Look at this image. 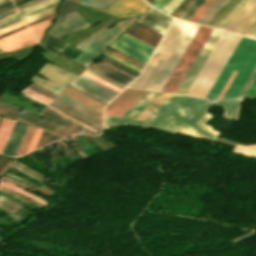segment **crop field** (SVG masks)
<instances>
[{
	"label": "crop field",
	"instance_id": "obj_54",
	"mask_svg": "<svg viewBox=\"0 0 256 256\" xmlns=\"http://www.w3.org/2000/svg\"><path fill=\"white\" fill-rule=\"evenodd\" d=\"M19 164V163H18ZM20 165H22V164H20ZM22 166H24V165H22ZM24 167H26V166H24ZM27 168V167H26ZM27 169H29V168H27ZM30 170V169H29ZM32 171V170H31ZM34 172V171H33ZM36 173V172H35ZM38 174V173H37ZM40 175V174H39ZM42 176V175H41ZM44 177V176H43Z\"/></svg>",
	"mask_w": 256,
	"mask_h": 256
},
{
	"label": "crop field",
	"instance_id": "obj_7",
	"mask_svg": "<svg viewBox=\"0 0 256 256\" xmlns=\"http://www.w3.org/2000/svg\"><path fill=\"white\" fill-rule=\"evenodd\" d=\"M139 17L118 20L116 24L101 35L91 46H89L75 61L87 66L99 53L114 39L121 35Z\"/></svg>",
	"mask_w": 256,
	"mask_h": 256
},
{
	"label": "crop field",
	"instance_id": "obj_25",
	"mask_svg": "<svg viewBox=\"0 0 256 256\" xmlns=\"http://www.w3.org/2000/svg\"><path fill=\"white\" fill-rule=\"evenodd\" d=\"M168 1L169 0H154L150 5L161 10ZM182 1L183 0H170L161 11L170 15Z\"/></svg>",
	"mask_w": 256,
	"mask_h": 256
},
{
	"label": "crop field",
	"instance_id": "obj_52",
	"mask_svg": "<svg viewBox=\"0 0 256 256\" xmlns=\"http://www.w3.org/2000/svg\"><path fill=\"white\" fill-rule=\"evenodd\" d=\"M7 1H9V0H0V4L5 3Z\"/></svg>",
	"mask_w": 256,
	"mask_h": 256
},
{
	"label": "crop field",
	"instance_id": "obj_57",
	"mask_svg": "<svg viewBox=\"0 0 256 256\" xmlns=\"http://www.w3.org/2000/svg\"><path fill=\"white\" fill-rule=\"evenodd\" d=\"M73 1H77V2H79V1H81V0H73Z\"/></svg>",
	"mask_w": 256,
	"mask_h": 256
},
{
	"label": "crop field",
	"instance_id": "obj_37",
	"mask_svg": "<svg viewBox=\"0 0 256 256\" xmlns=\"http://www.w3.org/2000/svg\"><path fill=\"white\" fill-rule=\"evenodd\" d=\"M248 0H242L237 7L223 20V22L217 27L222 29L228 21L241 9V7L247 2Z\"/></svg>",
	"mask_w": 256,
	"mask_h": 256
},
{
	"label": "crop field",
	"instance_id": "obj_13",
	"mask_svg": "<svg viewBox=\"0 0 256 256\" xmlns=\"http://www.w3.org/2000/svg\"><path fill=\"white\" fill-rule=\"evenodd\" d=\"M150 7L144 0H115L101 11L117 17L142 15Z\"/></svg>",
	"mask_w": 256,
	"mask_h": 256
},
{
	"label": "crop field",
	"instance_id": "obj_16",
	"mask_svg": "<svg viewBox=\"0 0 256 256\" xmlns=\"http://www.w3.org/2000/svg\"><path fill=\"white\" fill-rule=\"evenodd\" d=\"M71 85L102 100L106 104L118 94L82 75L75 79Z\"/></svg>",
	"mask_w": 256,
	"mask_h": 256
},
{
	"label": "crop field",
	"instance_id": "obj_60",
	"mask_svg": "<svg viewBox=\"0 0 256 256\" xmlns=\"http://www.w3.org/2000/svg\"><path fill=\"white\" fill-rule=\"evenodd\" d=\"M3 191V190H2ZM11 194V193H10ZM13 195V194H12ZM27 203V202H26ZM29 204V203H28Z\"/></svg>",
	"mask_w": 256,
	"mask_h": 256
},
{
	"label": "crop field",
	"instance_id": "obj_43",
	"mask_svg": "<svg viewBox=\"0 0 256 256\" xmlns=\"http://www.w3.org/2000/svg\"><path fill=\"white\" fill-rule=\"evenodd\" d=\"M41 129H37V131H36V133H35V135H34V137H33V139H32V142H31V144H30V146H29V148H28V150H27V152H30V151H33V149H34V147H35V145H36V142H37V140H38V138H39V135H40V133H41ZM26 152V153H27Z\"/></svg>",
	"mask_w": 256,
	"mask_h": 256
},
{
	"label": "crop field",
	"instance_id": "obj_50",
	"mask_svg": "<svg viewBox=\"0 0 256 256\" xmlns=\"http://www.w3.org/2000/svg\"><path fill=\"white\" fill-rule=\"evenodd\" d=\"M12 8H14V5H13V4H11V5L7 6V7H4V8H2V9H0V13H2V12H4V11H7V10H9V9H12Z\"/></svg>",
	"mask_w": 256,
	"mask_h": 256
},
{
	"label": "crop field",
	"instance_id": "obj_44",
	"mask_svg": "<svg viewBox=\"0 0 256 256\" xmlns=\"http://www.w3.org/2000/svg\"><path fill=\"white\" fill-rule=\"evenodd\" d=\"M42 1H44V0H32V1H29V2H27V3H25V4H22V5L18 6V9H19V11H21V10H23V9H25V8H28V7H30V6H33V5H35V4H37V3H40V2H42ZM16 8H17V7H16Z\"/></svg>",
	"mask_w": 256,
	"mask_h": 256
},
{
	"label": "crop field",
	"instance_id": "obj_20",
	"mask_svg": "<svg viewBox=\"0 0 256 256\" xmlns=\"http://www.w3.org/2000/svg\"><path fill=\"white\" fill-rule=\"evenodd\" d=\"M95 71L127 86L135 77L107 64L103 63Z\"/></svg>",
	"mask_w": 256,
	"mask_h": 256
},
{
	"label": "crop field",
	"instance_id": "obj_29",
	"mask_svg": "<svg viewBox=\"0 0 256 256\" xmlns=\"http://www.w3.org/2000/svg\"><path fill=\"white\" fill-rule=\"evenodd\" d=\"M44 45L59 51L60 53L63 51V49L68 46V44L50 36L47 34L46 38L44 39L43 43Z\"/></svg>",
	"mask_w": 256,
	"mask_h": 256
},
{
	"label": "crop field",
	"instance_id": "obj_8",
	"mask_svg": "<svg viewBox=\"0 0 256 256\" xmlns=\"http://www.w3.org/2000/svg\"><path fill=\"white\" fill-rule=\"evenodd\" d=\"M38 73L48 79L55 81L56 83L42 80L35 75L32 78V82L44 88H47L57 94H59L63 90V88L76 77V75L48 63H45L38 71Z\"/></svg>",
	"mask_w": 256,
	"mask_h": 256
},
{
	"label": "crop field",
	"instance_id": "obj_61",
	"mask_svg": "<svg viewBox=\"0 0 256 256\" xmlns=\"http://www.w3.org/2000/svg\"><path fill=\"white\" fill-rule=\"evenodd\" d=\"M147 2L149 1V0H146Z\"/></svg>",
	"mask_w": 256,
	"mask_h": 256
},
{
	"label": "crop field",
	"instance_id": "obj_24",
	"mask_svg": "<svg viewBox=\"0 0 256 256\" xmlns=\"http://www.w3.org/2000/svg\"><path fill=\"white\" fill-rule=\"evenodd\" d=\"M171 96H172L171 94L162 93L158 98H156L148 107H146L134 119L144 121L148 116H150L158 107H160Z\"/></svg>",
	"mask_w": 256,
	"mask_h": 256
},
{
	"label": "crop field",
	"instance_id": "obj_39",
	"mask_svg": "<svg viewBox=\"0 0 256 256\" xmlns=\"http://www.w3.org/2000/svg\"><path fill=\"white\" fill-rule=\"evenodd\" d=\"M193 2V0H184L176 10L171 14V16L178 18L182 12Z\"/></svg>",
	"mask_w": 256,
	"mask_h": 256
},
{
	"label": "crop field",
	"instance_id": "obj_6",
	"mask_svg": "<svg viewBox=\"0 0 256 256\" xmlns=\"http://www.w3.org/2000/svg\"><path fill=\"white\" fill-rule=\"evenodd\" d=\"M211 28L200 26L183 56L169 76L161 91L175 93L180 82L188 71L190 65L200 51L207 37L211 33Z\"/></svg>",
	"mask_w": 256,
	"mask_h": 256
},
{
	"label": "crop field",
	"instance_id": "obj_12",
	"mask_svg": "<svg viewBox=\"0 0 256 256\" xmlns=\"http://www.w3.org/2000/svg\"><path fill=\"white\" fill-rule=\"evenodd\" d=\"M77 11L58 18L49 34L61 39L77 30L88 27Z\"/></svg>",
	"mask_w": 256,
	"mask_h": 256
},
{
	"label": "crop field",
	"instance_id": "obj_2",
	"mask_svg": "<svg viewBox=\"0 0 256 256\" xmlns=\"http://www.w3.org/2000/svg\"><path fill=\"white\" fill-rule=\"evenodd\" d=\"M256 64V40L242 37L231 58L208 93V98L216 99L233 70L238 71L222 100L236 98L245 80Z\"/></svg>",
	"mask_w": 256,
	"mask_h": 256
},
{
	"label": "crop field",
	"instance_id": "obj_48",
	"mask_svg": "<svg viewBox=\"0 0 256 256\" xmlns=\"http://www.w3.org/2000/svg\"><path fill=\"white\" fill-rule=\"evenodd\" d=\"M15 13H17L16 8L0 14V19L5 18V17L10 16V15L15 14Z\"/></svg>",
	"mask_w": 256,
	"mask_h": 256
},
{
	"label": "crop field",
	"instance_id": "obj_23",
	"mask_svg": "<svg viewBox=\"0 0 256 256\" xmlns=\"http://www.w3.org/2000/svg\"><path fill=\"white\" fill-rule=\"evenodd\" d=\"M240 1L241 0H228L226 4L206 24V26L216 28Z\"/></svg>",
	"mask_w": 256,
	"mask_h": 256
},
{
	"label": "crop field",
	"instance_id": "obj_55",
	"mask_svg": "<svg viewBox=\"0 0 256 256\" xmlns=\"http://www.w3.org/2000/svg\"><path fill=\"white\" fill-rule=\"evenodd\" d=\"M2 178H3V177H2ZM4 179H5V178H4ZM7 180H8V179H7ZM10 181H11V180H10ZM12 182H13V181H12ZM16 182H17V181H16ZM16 182H15V183H16ZM19 183H20V182H19ZM19 183H18V184H19ZM21 184H23V183H21ZM21 184H20V185H21ZM24 185H25V184H24ZM24 185H23V186H24Z\"/></svg>",
	"mask_w": 256,
	"mask_h": 256
},
{
	"label": "crop field",
	"instance_id": "obj_58",
	"mask_svg": "<svg viewBox=\"0 0 256 256\" xmlns=\"http://www.w3.org/2000/svg\"><path fill=\"white\" fill-rule=\"evenodd\" d=\"M6 200V199H5ZM8 201V200H7ZM10 202V201H9ZM12 203V202H11ZM14 204V203H13ZM16 205V204H15ZM18 206V205H17ZM20 207V206H19Z\"/></svg>",
	"mask_w": 256,
	"mask_h": 256
},
{
	"label": "crop field",
	"instance_id": "obj_27",
	"mask_svg": "<svg viewBox=\"0 0 256 256\" xmlns=\"http://www.w3.org/2000/svg\"><path fill=\"white\" fill-rule=\"evenodd\" d=\"M36 129H37L36 127L30 126V125L28 126L26 133L22 139V142L15 156H20L22 154H25Z\"/></svg>",
	"mask_w": 256,
	"mask_h": 256
},
{
	"label": "crop field",
	"instance_id": "obj_33",
	"mask_svg": "<svg viewBox=\"0 0 256 256\" xmlns=\"http://www.w3.org/2000/svg\"><path fill=\"white\" fill-rule=\"evenodd\" d=\"M83 7H86V6H83V5L77 4L75 2L66 0V2L63 4L62 8L60 9V12H61L60 16L65 15V14L70 13V12H73L75 10L81 9Z\"/></svg>",
	"mask_w": 256,
	"mask_h": 256
},
{
	"label": "crop field",
	"instance_id": "obj_26",
	"mask_svg": "<svg viewBox=\"0 0 256 256\" xmlns=\"http://www.w3.org/2000/svg\"><path fill=\"white\" fill-rule=\"evenodd\" d=\"M57 1H58V0H47V1H44V2H42V3H40V4L35 5V6H33V7H30V8H28V9H25V10L21 11L20 13H21L22 16H24V15H26V14H28V13H31V12H33V11H36V10H38V9H40V8H43V7H45V6H48V5H50V4H52V3H55V2H57ZM57 3H58V2H57ZM57 3H55V4H53V5H50V6H48V7H45V8H43V9H41V10L36 11V12H33V13L29 14V15H26V16H24V19H26V18H28V17H30V16H33V15H35V14H37V13H40V12H42V11H45V10H47V9H49V8H52V7L56 6Z\"/></svg>",
	"mask_w": 256,
	"mask_h": 256
},
{
	"label": "crop field",
	"instance_id": "obj_36",
	"mask_svg": "<svg viewBox=\"0 0 256 256\" xmlns=\"http://www.w3.org/2000/svg\"><path fill=\"white\" fill-rule=\"evenodd\" d=\"M18 17H20V14H19V13L15 14V15H12V16H10V17H7V18H5V19H2V20H0V25L6 23V22H8V21H11V20H13V19H16V18H18ZM22 20H23V19L20 17V18H18V19H16V20H13V21L8 22V23H6V24H4V25H1V26H0V30L3 29V28L8 27V26H10V25H13V24H15V23H17V22H20V21H22Z\"/></svg>",
	"mask_w": 256,
	"mask_h": 256
},
{
	"label": "crop field",
	"instance_id": "obj_42",
	"mask_svg": "<svg viewBox=\"0 0 256 256\" xmlns=\"http://www.w3.org/2000/svg\"><path fill=\"white\" fill-rule=\"evenodd\" d=\"M243 36L251 37L256 39V21L247 29Z\"/></svg>",
	"mask_w": 256,
	"mask_h": 256
},
{
	"label": "crop field",
	"instance_id": "obj_9",
	"mask_svg": "<svg viewBox=\"0 0 256 256\" xmlns=\"http://www.w3.org/2000/svg\"><path fill=\"white\" fill-rule=\"evenodd\" d=\"M110 47L146 64L154 47L124 33Z\"/></svg>",
	"mask_w": 256,
	"mask_h": 256
},
{
	"label": "crop field",
	"instance_id": "obj_15",
	"mask_svg": "<svg viewBox=\"0 0 256 256\" xmlns=\"http://www.w3.org/2000/svg\"><path fill=\"white\" fill-rule=\"evenodd\" d=\"M167 56V53L154 51L142 75L128 87L148 89Z\"/></svg>",
	"mask_w": 256,
	"mask_h": 256
},
{
	"label": "crop field",
	"instance_id": "obj_59",
	"mask_svg": "<svg viewBox=\"0 0 256 256\" xmlns=\"http://www.w3.org/2000/svg\"><path fill=\"white\" fill-rule=\"evenodd\" d=\"M4 202V201H3ZM6 203V202H5ZM8 204V203H7ZM10 205V204H9ZM12 206V205H11ZM14 207V206H13Z\"/></svg>",
	"mask_w": 256,
	"mask_h": 256
},
{
	"label": "crop field",
	"instance_id": "obj_18",
	"mask_svg": "<svg viewBox=\"0 0 256 256\" xmlns=\"http://www.w3.org/2000/svg\"><path fill=\"white\" fill-rule=\"evenodd\" d=\"M171 19H172L171 17L152 8L149 12H147L137 22H139V23L161 33V34H164Z\"/></svg>",
	"mask_w": 256,
	"mask_h": 256
},
{
	"label": "crop field",
	"instance_id": "obj_22",
	"mask_svg": "<svg viewBox=\"0 0 256 256\" xmlns=\"http://www.w3.org/2000/svg\"><path fill=\"white\" fill-rule=\"evenodd\" d=\"M160 94L161 93L159 92L149 91L145 96H143L135 105H133L121 117L133 119L137 114H139L147 105H149Z\"/></svg>",
	"mask_w": 256,
	"mask_h": 256
},
{
	"label": "crop field",
	"instance_id": "obj_14",
	"mask_svg": "<svg viewBox=\"0 0 256 256\" xmlns=\"http://www.w3.org/2000/svg\"><path fill=\"white\" fill-rule=\"evenodd\" d=\"M256 19V0H249L243 8L229 21L223 30L242 35Z\"/></svg>",
	"mask_w": 256,
	"mask_h": 256
},
{
	"label": "crop field",
	"instance_id": "obj_5",
	"mask_svg": "<svg viewBox=\"0 0 256 256\" xmlns=\"http://www.w3.org/2000/svg\"><path fill=\"white\" fill-rule=\"evenodd\" d=\"M0 115L15 117L17 119L27 121L45 130L62 135L64 137L76 135L79 133H88L86 131L82 132V129L64 121L63 119L45 110L40 114V116L47 118L49 120H52V122H48L40 117H37L27 112L23 113L22 110L12 105L1 103V102H0Z\"/></svg>",
	"mask_w": 256,
	"mask_h": 256
},
{
	"label": "crop field",
	"instance_id": "obj_32",
	"mask_svg": "<svg viewBox=\"0 0 256 256\" xmlns=\"http://www.w3.org/2000/svg\"><path fill=\"white\" fill-rule=\"evenodd\" d=\"M58 139H61V137L56 136L54 134H51V133L46 132V131L43 130L41 135H40V138L37 142V145H36L35 149L39 148V147H42V146H44V145H46V144H48L52 141L58 140Z\"/></svg>",
	"mask_w": 256,
	"mask_h": 256
},
{
	"label": "crop field",
	"instance_id": "obj_46",
	"mask_svg": "<svg viewBox=\"0 0 256 256\" xmlns=\"http://www.w3.org/2000/svg\"><path fill=\"white\" fill-rule=\"evenodd\" d=\"M249 96H256V79L253 82L252 86L250 87L245 97H249Z\"/></svg>",
	"mask_w": 256,
	"mask_h": 256
},
{
	"label": "crop field",
	"instance_id": "obj_30",
	"mask_svg": "<svg viewBox=\"0 0 256 256\" xmlns=\"http://www.w3.org/2000/svg\"><path fill=\"white\" fill-rule=\"evenodd\" d=\"M206 0H194V2L183 12L179 19L188 21L190 17L202 6Z\"/></svg>",
	"mask_w": 256,
	"mask_h": 256
},
{
	"label": "crop field",
	"instance_id": "obj_10",
	"mask_svg": "<svg viewBox=\"0 0 256 256\" xmlns=\"http://www.w3.org/2000/svg\"><path fill=\"white\" fill-rule=\"evenodd\" d=\"M221 34L222 31L213 29L212 33L210 34L200 53L198 54L197 58L192 64L191 68L189 69L188 73L186 74L185 78L183 79L182 83L177 89V94L185 95L186 91L193 82L194 78L196 77L197 73L199 72L200 68L207 59L208 55L210 54L211 50L213 49Z\"/></svg>",
	"mask_w": 256,
	"mask_h": 256
},
{
	"label": "crop field",
	"instance_id": "obj_41",
	"mask_svg": "<svg viewBox=\"0 0 256 256\" xmlns=\"http://www.w3.org/2000/svg\"><path fill=\"white\" fill-rule=\"evenodd\" d=\"M106 51H108V50H106ZM108 52H110V53H112V54H114V55H116V56H118V57H120V58H122V59H124V60H126V61H128V62H130V63H132V64H134L136 66H138V67H140V68H142V69L144 67V64H142L140 62H137V61H135V60H133V59L123 55V54L112 52V51H108Z\"/></svg>",
	"mask_w": 256,
	"mask_h": 256
},
{
	"label": "crop field",
	"instance_id": "obj_35",
	"mask_svg": "<svg viewBox=\"0 0 256 256\" xmlns=\"http://www.w3.org/2000/svg\"><path fill=\"white\" fill-rule=\"evenodd\" d=\"M255 77H256V66L254 67L251 74L249 75L247 81L245 82L244 86L242 87V89H241L240 93L238 94L237 98L242 97V96L245 95V93L249 89L250 85L254 81Z\"/></svg>",
	"mask_w": 256,
	"mask_h": 256
},
{
	"label": "crop field",
	"instance_id": "obj_21",
	"mask_svg": "<svg viewBox=\"0 0 256 256\" xmlns=\"http://www.w3.org/2000/svg\"><path fill=\"white\" fill-rule=\"evenodd\" d=\"M63 94L103 113V107L105 106V104L71 88V87H67L66 90L63 92Z\"/></svg>",
	"mask_w": 256,
	"mask_h": 256
},
{
	"label": "crop field",
	"instance_id": "obj_28",
	"mask_svg": "<svg viewBox=\"0 0 256 256\" xmlns=\"http://www.w3.org/2000/svg\"><path fill=\"white\" fill-rule=\"evenodd\" d=\"M227 0H217L211 8L201 17V19L197 22L198 24L205 25L209 19L219 10V8L226 2Z\"/></svg>",
	"mask_w": 256,
	"mask_h": 256
},
{
	"label": "crop field",
	"instance_id": "obj_53",
	"mask_svg": "<svg viewBox=\"0 0 256 256\" xmlns=\"http://www.w3.org/2000/svg\"><path fill=\"white\" fill-rule=\"evenodd\" d=\"M0 204H2V203H0ZM3 205V204H2ZM5 206V205H4ZM2 207V206H1ZM5 207H7V206H5ZM2 208H4V207H2ZM8 209H10V210H12L13 211V209H11V208H9V207H7ZM4 209H6V208H4ZM7 210V209H6ZM9 211V210H8ZM7 211V212H8Z\"/></svg>",
	"mask_w": 256,
	"mask_h": 256
},
{
	"label": "crop field",
	"instance_id": "obj_4",
	"mask_svg": "<svg viewBox=\"0 0 256 256\" xmlns=\"http://www.w3.org/2000/svg\"><path fill=\"white\" fill-rule=\"evenodd\" d=\"M241 37L223 32L186 95L206 97Z\"/></svg>",
	"mask_w": 256,
	"mask_h": 256
},
{
	"label": "crop field",
	"instance_id": "obj_40",
	"mask_svg": "<svg viewBox=\"0 0 256 256\" xmlns=\"http://www.w3.org/2000/svg\"><path fill=\"white\" fill-rule=\"evenodd\" d=\"M112 1L113 0H91L86 5L100 10Z\"/></svg>",
	"mask_w": 256,
	"mask_h": 256
},
{
	"label": "crop field",
	"instance_id": "obj_38",
	"mask_svg": "<svg viewBox=\"0 0 256 256\" xmlns=\"http://www.w3.org/2000/svg\"><path fill=\"white\" fill-rule=\"evenodd\" d=\"M102 55H104V56H106V57H108V58H110V59H112V60H114V61H116V62H118V63H120V64H122V65H124V66H126V67H128L130 69H132V70H134V71H136V72H138V73H140V71H141V69H139V68H137V67H135V66H133V65H131V64H129V63H127V62H125V61H123V60H121V59H119V58H117V57H115V56L105 52V51H104V53Z\"/></svg>",
	"mask_w": 256,
	"mask_h": 256
},
{
	"label": "crop field",
	"instance_id": "obj_51",
	"mask_svg": "<svg viewBox=\"0 0 256 256\" xmlns=\"http://www.w3.org/2000/svg\"><path fill=\"white\" fill-rule=\"evenodd\" d=\"M9 4H11V1H9V2H7V3H5V4L0 5V8H2V7H4V6H7V5H9Z\"/></svg>",
	"mask_w": 256,
	"mask_h": 256
},
{
	"label": "crop field",
	"instance_id": "obj_3",
	"mask_svg": "<svg viewBox=\"0 0 256 256\" xmlns=\"http://www.w3.org/2000/svg\"><path fill=\"white\" fill-rule=\"evenodd\" d=\"M198 25L174 19L157 49L170 53L149 89L160 91L179 57L189 44Z\"/></svg>",
	"mask_w": 256,
	"mask_h": 256
},
{
	"label": "crop field",
	"instance_id": "obj_11",
	"mask_svg": "<svg viewBox=\"0 0 256 256\" xmlns=\"http://www.w3.org/2000/svg\"><path fill=\"white\" fill-rule=\"evenodd\" d=\"M147 92L126 88L106 106V115L120 117Z\"/></svg>",
	"mask_w": 256,
	"mask_h": 256
},
{
	"label": "crop field",
	"instance_id": "obj_47",
	"mask_svg": "<svg viewBox=\"0 0 256 256\" xmlns=\"http://www.w3.org/2000/svg\"><path fill=\"white\" fill-rule=\"evenodd\" d=\"M86 71H88V72H90V73H92V74H94V75H96V76H98V77H100V78H102V79H104V80H106V81H108V82H110V83H112V84L122 88V89L124 88L123 86H121V85H119V84H117V83H115V82H113V81H111V80H109V79H107V78H105V77H103V76H101V75H99V74L89 70V69H86Z\"/></svg>",
	"mask_w": 256,
	"mask_h": 256
},
{
	"label": "crop field",
	"instance_id": "obj_56",
	"mask_svg": "<svg viewBox=\"0 0 256 256\" xmlns=\"http://www.w3.org/2000/svg\"><path fill=\"white\" fill-rule=\"evenodd\" d=\"M17 1H20V0H13V3L17 2Z\"/></svg>",
	"mask_w": 256,
	"mask_h": 256
},
{
	"label": "crop field",
	"instance_id": "obj_34",
	"mask_svg": "<svg viewBox=\"0 0 256 256\" xmlns=\"http://www.w3.org/2000/svg\"><path fill=\"white\" fill-rule=\"evenodd\" d=\"M216 0H207L204 5L193 15V17L189 20L190 22L196 23L197 20L209 9V7L215 2Z\"/></svg>",
	"mask_w": 256,
	"mask_h": 256
},
{
	"label": "crop field",
	"instance_id": "obj_19",
	"mask_svg": "<svg viewBox=\"0 0 256 256\" xmlns=\"http://www.w3.org/2000/svg\"><path fill=\"white\" fill-rule=\"evenodd\" d=\"M27 126L28 125L25 123L18 122V121L16 122L2 154L11 155V156L15 155Z\"/></svg>",
	"mask_w": 256,
	"mask_h": 256
},
{
	"label": "crop field",
	"instance_id": "obj_31",
	"mask_svg": "<svg viewBox=\"0 0 256 256\" xmlns=\"http://www.w3.org/2000/svg\"><path fill=\"white\" fill-rule=\"evenodd\" d=\"M54 17L45 20L41 23H38L32 27H30L31 31L33 32V34L35 35L36 39L38 40V42L40 41L42 35H43V30L49 26V24L51 23V21L53 20Z\"/></svg>",
	"mask_w": 256,
	"mask_h": 256
},
{
	"label": "crop field",
	"instance_id": "obj_62",
	"mask_svg": "<svg viewBox=\"0 0 256 256\" xmlns=\"http://www.w3.org/2000/svg\"><path fill=\"white\" fill-rule=\"evenodd\" d=\"M0 53H1V51H0Z\"/></svg>",
	"mask_w": 256,
	"mask_h": 256
},
{
	"label": "crop field",
	"instance_id": "obj_17",
	"mask_svg": "<svg viewBox=\"0 0 256 256\" xmlns=\"http://www.w3.org/2000/svg\"><path fill=\"white\" fill-rule=\"evenodd\" d=\"M37 43L28 28L0 39V49L7 51Z\"/></svg>",
	"mask_w": 256,
	"mask_h": 256
},
{
	"label": "crop field",
	"instance_id": "obj_1",
	"mask_svg": "<svg viewBox=\"0 0 256 256\" xmlns=\"http://www.w3.org/2000/svg\"><path fill=\"white\" fill-rule=\"evenodd\" d=\"M205 98L173 95L144 122L106 116L105 123H130L139 126L169 130L192 136L214 139L219 133L205 123L212 116L207 109L212 105L225 108L224 119L236 120L241 99L219 101ZM221 106V107H222Z\"/></svg>",
	"mask_w": 256,
	"mask_h": 256
},
{
	"label": "crop field",
	"instance_id": "obj_49",
	"mask_svg": "<svg viewBox=\"0 0 256 256\" xmlns=\"http://www.w3.org/2000/svg\"><path fill=\"white\" fill-rule=\"evenodd\" d=\"M6 176H8V177H10V178H13V179H15V180H18V181H20V182H24V183H28L29 185H31V186H34L33 184H31V183H29V182H27V181H24V180H22V179H19V178H17V177H14V176H12V175H10V174H6ZM34 187H37V186H34Z\"/></svg>",
	"mask_w": 256,
	"mask_h": 256
},
{
	"label": "crop field",
	"instance_id": "obj_45",
	"mask_svg": "<svg viewBox=\"0 0 256 256\" xmlns=\"http://www.w3.org/2000/svg\"><path fill=\"white\" fill-rule=\"evenodd\" d=\"M11 167H13V168L19 170L20 172H22V173H24V174H26V175H28V176H30V177H32V178H34V177L39 178V177H40V176H38V175H36V174H34V173H32V172L26 170V169L23 170V169L19 168L18 166L14 165V164H13ZM39 179H40V178H39Z\"/></svg>",
	"mask_w": 256,
	"mask_h": 256
}]
</instances>
